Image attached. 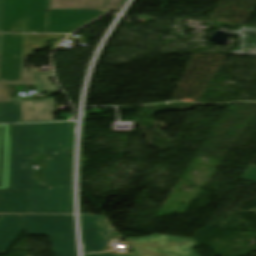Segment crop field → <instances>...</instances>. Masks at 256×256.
<instances>
[{"instance_id":"crop-field-1","label":"crop field","mask_w":256,"mask_h":256,"mask_svg":"<svg viewBox=\"0 0 256 256\" xmlns=\"http://www.w3.org/2000/svg\"><path fill=\"white\" fill-rule=\"evenodd\" d=\"M72 127L73 123L13 125L11 189H28L33 213H72V186L63 175ZM34 163L44 173L34 170Z\"/></svg>"},{"instance_id":"crop-field-2","label":"crop field","mask_w":256,"mask_h":256,"mask_svg":"<svg viewBox=\"0 0 256 256\" xmlns=\"http://www.w3.org/2000/svg\"><path fill=\"white\" fill-rule=\"evenodd\" d=\"M26 235H46L54 256H76L72 215H22Z\"/></svg>"},{"instance_id":"crop-field-3","label":"crop field","mask_w":256,"mask_h":256,"mask_svg":"<svg viewBox=\"0 0 256 256\" xmlns=\"http://www.w3.org/2000/svg\"><path fill=\"white\" fill-rule=\"evenodd\" d=\"M125 241L136 256H198L192 248L200 246L193 239L158 234Z\"/></svg>"},{"instance_id":"crop-field-4","label":"crop field","mask_w":256,"mask_h":256,"mask_svg":"<svg viewBox=\"0 0 256 256\" xmlns=\"http://www.w3.org/2000/svg\"><path fill=\"white\" fill-rule=\"evenodd\" d=\"M35 13L36 0H3L0 32H34Z\"/></svg>"},{"instance_id":"crop-field-5","label":"crop field","mask_w":256,"mask_h":256,"mask_svg":"<svg viewBox=\"0 0 256 256\" xmlns=\"http://www.w3.org/2000/svg\"><path fill=\"white\" fill-rule=\"evenodd\" d=\"M35 74L22 67L21 81H0L1 84L33 85ZM21 101V98L0 100V103ZM22 122L53 121L57 112L54 98L21 101Z\"/></svg>"},{"instance_id":"crop-field-6","label":"crop field","mask_w":256,"mask_h":256,"mask_svg":"<svg viewBox=\"0 0 256 256\" xmlns=\"http://www.w3.org/2000/svg\"><path fill=\"white\" fill-rule=\"evenodd\" d=\"M107 10H49L48 32L72 33Z\"/></svg>"},{"instance_id":"crop-field-7","label":"crop field","mask_w":256,"mask_h":256,"mask_svg":"<svg viewBox=\"0 0 256 256\" xmlns=\"http://www.w3.org/2000/svg\"><path fill=\"white\" fill-rule=\"evenodd\" d=\"M85 252L103 251L113 229L105 216H81Z\"/></svg>"},{"instance_id":"crop-field-8","label":"crop field","mask_w":256,"mask_h":256,"mask_svg":"<svg viewBox=\"0 0 256 256\" xmlns=\"http://www.w3.org/2000/svg\"><path fill=\"white\" fill-rule=\"evenodd\" d=\"M24 37L25 34H5L1 80H20Z\"/></svg>"},{"instance_id":"crop-field-9","label":"crop field","mask_w":256,"mask_h":256,"mask_svg":"<svg viewBox=\"0 0 256 256\" xmlns=\"http://www.w3.org/2000/svg\"><path fill=\"white\" fill-rule=\"evenodd\" d=\"M0 213H32L27 190L0 191Z\"/></svg>"},{"instance_id":"crop-field-10","label":"crop field","mask_w":256,"mask_h":256,"mask_svg":"<svg viewBox=\"0 0 256 256\" xmlns=\"http://www.w3.org/2000/svg\"><path fill=\"white\" fill-rule=\"evenodd\" d=\"M23 229L21 215H6L3 218L0 222V254H4Z\"/></svg>"},{"instance_id":"crop-field-11","label":"crop field","mask_w":256,"mask_h":256,"mask_svg":"<svg viewBox=\"0 0 256 256\" xmlns=\"http://www.w3.org/2000/svg\"><path fill=\"white\" fill-rule=\"evenodd\" d=\"M10 125L0 126V189H9Z\"/></svg>"},{"instance_id":"crop-field-12","label":"crop field","mask_w":256,"mask_h":256,"mask_svg":"<svg viewBox=\"0 0 256 256\" xmlns=\"http://www.w3.org/2000/svg\"><path fill=\"white\" fill-rule=\"evenodd\" d=\"M49 9H107V0H50Z\"/></svg>"},{"instance_id":"crop-field-13","label":"crop field","mask_w":256,"mask_h":256,"mask_svg":"<svg viewBox=\"0 0 256 256\" xmlns=\"http://www.w3.org/2000/svg\"><path fill=\"white\" fill-rule=\"evenodd\" d=\"M21 122L20 102L0 104V123Z\"/></svg>"},{"instance_id":"crop-field-14","label":"crop field","mask_w":256,"mask_h":256,"mask_svg":"<svg viewBox=\"0 0 256 256\" xmlns=\"http://www.w3.org/2000/svg\"><path fill=\"white\" fill-rule=\"evenodd\" d=\"M51 77V73H36L34 81L35 90L40 89L41 92L48 91V95L56 94L58 88L49 82Z\"/></svg>"},{"instance_id":"crop-field-15","label":"crop field","mask_w":256,"mask_h":256,"mask_svg":"<svg viewBox=\"0 0 256 256\" xmlns=\"http://www.w3.org/2000/svg\"><path fill=\"white\" fill-rule=\"evenodd\" d=\"M48 0H37L35 32H45Z\"/></svg>"},{"instance_id":"crop-field-16","label":"crop field","mask_w":256,"mask_h":256,"mask_svg":"<svg viewBox=\"0 0 256 256\" xmlns=\"http://www.w3.org/2000/svg\"><path fill=\"white\" fill-rule=\"evenodd\" d=\"M64 175L72 184V149H65Z\"/></svg>"},{"instance_id":"crop-field-17","label":"crop field","mask_w":256,"mask_h":256,"mask_svg":"<svg viewBox=\"0 0 256 256\" xmlns=\"http://www.w3.org/2000/svg\"><path fill=\"white\" fill-rule=\"evenodd\" d=\"M241 178L246 181L256 182V166L250 165Z\"/></svg>"},{"instance_id":"crop-field-18","label":"crop field","mask_w":256,"mask_h":256,"mask_svg":"<svg viewBox=\"0 0 256 256\" xmlns=\"http://www.w3.org/2000/svg\"><path fill=\"white\" fill-rule=\"evenodd\" d=\"M123 0H108V9L117 10Z\"/></svg>"},{"instance_id":"crop-field-19","label":"crop field","mask_w":256,"mask_h":256,"mask_svg":"<svg viewBox=\"0 0 256 256\" xmlns=\"http://www.w3.org/2000/svg\"><path fill=\"white\" fill-rule=\"evenodd\" d=\"M85 256H125V255H113V254L102 253V254L85 255Z\"/></svg>"},{"instance_id":"crop-field-20","label":"crop field","mask_w":256,"mask_h":256,"mask_svg":"<svg viewBox=\"0 0 256 256\" xmlns=\"http://www.w3.org/2000/svg\"><path fill=\"white\" fill-rule=\"evenodd\" d=\"M2 37H3V34H0V54H1V48H2Z\"/></svg>"},{"instance_id":"crop-field-21","label":"crop field","mask_w":256,"mask_h":256,"mask_svg":"<svg viewBox=\"0 0 256 256\" xmlns=\"http://www.w3.org/2000/svg\"><path fill=\"white\" fill-rule=\"evenodd\" d=\"M2 216H3V215H0V219H1Z\"/></svg>"},{"instance_id":"crop-field-22","label":"crop field","mask_w":256,"mask_h":256,"mask_svg":"<svg viewBox=\"0 0 256 256\" xmlns=\"http://www.w3.org/2000/svg\"><path fill=\"white\" fill-rule=\"evenodd\" d=\"M0 5H1V0H0Z\"/></svg>"}]
</instances>
